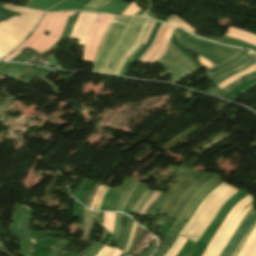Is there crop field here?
<instances>
[{
    "instance_id": "crop-field-1",
    "label": "crop field",
    "mask_w": 256,
    "mask_h": 256,
    "mask_svg": "<svg viewBox=\"0 0 256 256\" xmlns=\"http://www.w3.org/2000/svg\"><path fill=\"white\" fill-rule=\"evenodd\" d=\"M9 9L21 15L3 22L1 20L17 13L0 7V59L19 46L44 15L14 6H9Z\"/></svg>"
},
{
    "instance_id": "crop-field-2",
    "label": "crop field",
    "mask_w": 256,
    "mask_h": 256,
    "mask_svg": "<svg viewBox=\"0 0 256 256\" xmlns=\"http://www.w3.org/2000/svg\"><path fill=\"white\" fill-rule=\"evenodd\" d=\"M239 189L226 186L215 194L206 204L202 213L197 217L190 230L187 232L185 237L197 241L202 233L206 230L209 224L212 222L215 214L219 208ZM196 243V242H195Z\"/></svg>"
},
{
    "instance_id": "crop-field-3",
    "label": "crop field",
    "mask_w": 256,
    "mask_h": 256,
    "mask_svg": "<svg viewBox=\"0 0 256 256\" xmlns=\"http://www.w3.org/2000/svg\"><path fill=\"white\" fill-rule=\"evenodd\" d=\"M177 37L183 42L185 46L189 49L195 51L200 54L204 58L208 59L212 63L218 65L230 57H232L235 53H237L240 49L232 48L227 46L218 45L213 42H209L206 40L195 38L194 36H190L189 38H185L183 35L174 32Z\"/></svg>"
},
{
    "instance_id": "crop-field-4",
    "label": "crop field",
    "mask_w": 256,
    "mask_h": 256,
    "mask_svg": "<svg viewBox=\"0 0 256 256\" xmlns=\"http://www.w3.org/2000/svg\"><path fill=\"white\" fill-rule=\"evenodd\" d=\"M145 21V18H132L128 26L125 28L123 31L122 35L120 36L116 46L106 59L105 63L103 66L100 67L98 72L101 73H107L111 74L113 73V70L121 58V56L127 52L132 45L134 44L141 27ZM111 62L112 68L107 69L109 63Z\"/></svg>"
},
{
    "instance_id": "crop-field-5",
    "label": "crop field",
    "mask_w": 256,
    "mask_h": 256,
    "mask_svg": "<svg viewBox=\"0 0 256 256\" xmlns=\"http://www.w3.org/2000/svg\"><path fill=\"white\" fill-rule=\"evenodd\" d=\"M157 62L172 72L174 84L199 69L188 56L171 42L169 43L166 54Z\"/></svg>"
},
{
    "instance_id": "crop-field-6",
    "label": "crop field",
    "mask_w": 256,
    "mask_h": 256,
    "mask_svg": "<svg viewBox=\"0 0 256 256\" xmlns=\"http://www.w3.org/2000/svg\"><path fill=\"white\" fill-rule=\"evenodd\" d=\"M234 57V56H233ZM256 63V55L253 52H246L241 50L234 58L218 65L217 67L207 71L211 74L214 72L222 70L214 73L213 75L209 76L214 83L217 85L224 79L250 67L251 65Z\"/></svg>"
},
{
    "instance_id": "crop-field-7",
    "label": "crop field",
    "mask_w": 256,
    "mask_h": 256,
    "mask_svg": "<svg viewBox=\"0 0 256 256\" xmlns=\"http://www.w3.org/2000/svg\"><path fill=\"white\" fill-rule=\"evenodd\" d=\"M131 17H118L112 20L111 24L109 25L102 42L100 44L99 50L93 60L94 63L92 72H97L100 65H103L105 59L113 49L117 39L121 35L122 31L128 24Z\"/></svg>"
},
{
    "instance_id": "crop-field-8",
    "label": "crop field",
    "mask_w": 256,
    "mask_h": 256,
    "mask_svg": "<svg viewBox=\"0 0 256 256\" xmlns=\"http://www.w3.org/2000/svg\"><path fill=\"white\" fill-rule=\"evenodd\" d=\"M61 13L54 14V16L49 21L46 29L38 37V39L32 43L29 47L38 51V54L44 53L51 46H53L58 40L68 16L60 15ZM45 31L51 32L48 36L44 34Z\"/></svg>"
},
{
    "instance_id": "crop-field-9",
    "label": "crop field",
    "mask_w": 256,
    "mask_h": 256,
    "mask_svg": "<svg viewBox=\"0 0 256 256\" xmlns=\"http://www.w3.org/2000/svg\"><path fill=\"white\" fill-rule=\"evenodd\" d=\"M113 17L114 16L101 14L96 18L94 25L87 36L82 60L92 62L101 39Z\"/></svg>"
},
{
    "instance_id": "crop-field-10",
    "label": "crop field",
    "mask_w": 256,
    "mask_h": 256,
    "mask_svg": "<svg viewBox=\"0 0 256 256\" xmlns=\"http://www.w3.org/2000/svg\"><path fill=\"white\" fill-rule=\"evenodd\" d=\"M177 178L179 181L169 192L172 195L162 207L160 214H169V212L172 210V208L175 206V204L178 202L184 192L196 182L194 178H192L185 172Z\"/></svg>"
},
{
    "instance_id": "crop-field-11",
    "label": "crop field",
    "mask_w": 256,
    "mask_h": 256,
    "mask_svg": "<svg viewBox=\"0 0 256 256\" xmlns=\"http://www.w3.org/2000/svg\"><path fill=\"white\" fill-rule=\"evenodd\" d=\"M99 14L81 12L72 30L70 38L79 39L78 44L84 45L86 36ZM96 20V19H95Z\"/></svg>"
},
{
    "instance_id": "crop-field-12",
    "label": "crop field",
    "mask_w": 256,
    "mask_h": 256,
    "mask_svg": "<svg viewBox=\"0 0 256 256\" xmlns=\"http://www.w3.org/2000/svg\"><path fill=\"white\" fill-rule=\"evenodd\" d=\"M132 180L125 179L120 187H116L115 189H110L106 194L103 204L100 208L101 211H115L117 204L124 194L125 190L129 186Z\"/></svg>"
},
{
    "instance_id": "crop-field-13",
    "label": "crop field",
    "mask_w": 256,
    "mask_h": 256,
    "mask_svg": "<svg viewBox=\"0 0 256 256\" xmlns=\"http://www.w3.org/2000/svg\"><path fill=\"white\" fill-rule=\"evenodd\" d=\"M213 175L206 174L200 181H198L195 185H193L183 196L177 207L173 210L170 217L177 219L179 215L183 212L187 204L190 202L194 194L201 189L211 178Z\"/></svg>"
},
{
    "instance_id": "crop-field-14",
    "label": "crop field",
    "mask_w": 256,
    "mask_h": 256,
    "mask_svg": "<svg viewBox=\"0 0 256 256\" xmlns=\"http://www.w3.org/2000/svg\"><path fill=\"white\" fill-rule=\"evenodd\" d=\"M161 23L156 22L153 31L151 33V35L149 36L147 42L145 45H142L137 52H135L133 54V56L129 59V61L126 63V65L124 66L122 72L120 73V75L125 76L128 71L133 67V65L136 63V61L141 57V55L147 50V48L151 45V43L154 40V37L156 35V32L158 30V28L160 27Z\"/></svg>"
},
{
    "instance_id": "crop-field-15",
    "label": "crop field",
    "mask_w": 256,
    "mask_h": 256,
    "mask_svg": "<svg viewBox=\"0 0 256 256\" xmlns=\"http://www.w3.org/2000/svg\"><path fill=\"white\" fill-rule=\"evenodd\" d=\"M151 21L152 20H150V19L146 20V22H145V24H144V26H143V28H142L138 38H137L135 44L133 45V47L126 54H124L122 56V58L120 59V61H119L118 65H117L113 75H118L119 74L121 68L123 67V65L125 64L127 59L130 57V55L132 53H134L135 50L141 45V43L143 41V38H144V36H145L149 26H150Z\"/></svg>"
},
{
    "instance_id": "crop-field-16",
    "label": "crop field",
    "mask_w": 256,
    "mask_h": 256,
    "mask_svg": "<svg viewBox=\"0 0 256 256\" xmlns=\"http://www.w3.org/2000/svg\"><path fill=\"white\" fill-rule=\"evenodd\" d=\"M250 197V195L246 196L245 198H243L241 201H239L232 209V211L228 214V216L225 218V220L223 221L222 225L220 226V228L218 229L217 233L215 234V236L213 237V239L211 240V242L209 243L205 253L203 256H206L208 254V252L210 251L211 247L213 246V244L215 243V241L217 240V238L219 237V235L221 234V232L223 231V229L226 227V225L229 223V221L231 220L232 216L234 215V213L248 200V198Z\"/></svg>"
},
{
    "instance_id": "crop-field-17",
    "label": "crop field",
    "mask_w": 256,
    "mask_h": 256,
    "mask_svg": "<svg viewBox=\"0 0 256 256\" xmlns=\"http://www.w3.org/2000/svg\"><path fill=\"white\" fill-rule=\"evenodd\" d=\"M53 16V14H48L43 21L42 25L32 34V36L15 52H13L11 55H9L7 58H5L3 61H10L15 56H17L19 53H21L28 45H30L32 42L36 40V38L41 34V32L45 29L48 21Z\"/></svg>"
},
{
    "instance_id": "crop-field-18",
    "label": "crop field",
    "mask_w": 256,
    "mask_h": 256,
    "mask_svg": "<svg viewBox=\"0 0 256 256\" xmlns=\"http://www.w3.org/2000/svg\"><path fill=\"white\" fill-rule=\"evenodd\" d=\"M145 185L142 184H138L132 194L130 195V197L128 198L126 204L123 207V212L126 214H130L135 206V204L137 203V201L139 200V198L141 197V195L143 194V192L145 191L146 187H144Z\"/></svg>"
},
{
    "instance_id": "crop-field-19",
    "label": "crop field",
    "mask_w": 256,
    "mask_h": 256,
    "mask_svg": "<svg viewBox=\"0 0 256 256\" xmlns=\"http://www.w3.org/2000/svg\"><path fill=\"white\" fill-rule=\"evenodd\" d=\"M219 179V177L215 176L212 180H210L201 190H199L195 196L193 197V199L191 200V202L188 204V206L186 207V209L184 210V212L182 213V215L180 216L179 220L177 221V223L171 228V232H173L178 225L182 222V220L184 219V217L187 215V213L190 211V209L193 207V205L195 204L197 198L203 194V192L209 188L214 182H216Z\"/></svg>"
},
{
    "instance_id": "crop-field-20",
    "label": "crop field",
    "mask_w": 256,
    "mask_h": 256,
    "mask_svg": "<svg viewBox=\"0 0 256 256\" xmlns=\"http://www.w3.org/2000/svg\"><path fill=\"white\" fill-rule=\"evenodd\" d=\"M253 200L252 197L249 198V200L236 212V214L233 216L232 220L230 221V223L227 225V227L224 229V231L222 232V234L220 235V237L218 238V240L216 241L215 245L213 246V248L211 249V251L209 252V254L207 256H212L214 254V252L216 251V249L218 248L220 242L222 241V239L224 238V236L226 235V233L228 232V230L231 228V226L233 225V223L236 221V219L239 217V215L241 214L242 210L249 204V202Z\"/></svg>"
},
{
    "instance_id": "crop-field-21",
    "label": "crop field",
    "mask_w": 256,
    "mask_h": 256,
    "mask_svg": "<svg viewBox=\"0 0 256 256\" xmlns=\"http://www.w3.org/2000/svg\"><path fill=\"white\" fill-rule=\"evenodd\" d=\"M31 212H32V210L25 207L22 222H21V226H20V230H19V237L20 238L29 239L28 232H29V227H30Z\"/></svg>"
},
{
    "instance_id": "crop-field-22",
    "label": "crop field",
    "mask_w": 256,
    "mask_h": 256,
    "mask_svg": "<svg viewBox=\"0 0 256 256\" xmlns=\"http://www.w3.org/2000/svg\"><path fill=\"white\" fill-rule=\"evenodd\" d=\"M254 205V203L252 202L251 205L244 209L242 214L240 215V217L238 218V220L235 222V224L232 226V228L229 230V232L227 233V235L225 236L224 240L222 241V243L220 244L219 248L217 249L216 253L214 256H219L220 252L222 251V249L224 248V246L226 245V243L228 242L229 238L231 237L232 233L234 232V230L236 229V227L238 226V224L240 223V221L243 219V217L246 215V213L250 210V208Z\"/></svg>"
},
{
    "instance_id": "crop-field-23",
    "label": "crop field",
    "mask_w": 256,
    "mask_h": 256,
    "mask_svg": "<svg viewBox=\"0 0 256 256\" xmlns=\"http://www.w3.org/2000/svg\"><path fill=\"white\" fill-rule=\"evenodd\" d=\"M225 185L224 182L218 187L216 188L212 193H210L208 196L205 197V199L203 200V202L200 204V206L198 207L197 211L195 212V214L192 216V218L189 220V222L187 223V225L185 226V228L180 232V235L184 236V234L186 233V231L189 229V227L191 226V224L193 223V221L195 220L196 216L199 214L200 210L204 207L206 201L211 198L215 193H217L220 189H222Z\"/></svg>"
},
{
    "instance_id": "crop-field-24",
    "label": "crop field",
    "mask_w": 256,
    "mask_h": 256,
    "mask_svg": "<svg viewBox=\"0 0 256 256\" xmlns=\"http://www.w3.org/2000/svg\"><path fill=\"white\" fill-rule=\"evenodd\" d=\"M175 30V27H172L170 26L166 36H165V39L163 41V44L161 46V48L157 51V53L149 60L148 63L150 64H153L155 63L165 52L167 46H168V43H169V40L171 38V34L172 32Z\"/></svg>"
},
{
    "instance_id": "crop-field-25",
    "label": "crop field",
    "mask_w": 256,
    "mask_h": 256,
    "mask_svg": "<svg viewBox=\"0 0 256 256\" xmlns=\"http://www.w3.org/2000/svg\"><path fill=\"white\" fill-rule=\"evenodd\" d=\"M91 223H92L91 211L85 208L84 209V232H83L84 241H88L90 238Z\"/></svg>"
},
{
    "instance_id": "crop-field-26",
    "label": "crop field",
    "mask_w": 256,
    "mask_h": 256,
    "mask_svg": "<svg viewBox=\"0 0 256 256\" xmlns=\"http://www.w3.org/2000/svg\"><path fill=\"white\" fill-rule=\"evenodd\" d=\"M255 211L254 207L251 210V212L248 214V216L239 224V226L237 227V229L235 230V232L233 233L232 237L230 238L229 242L227 243V245L225 246V248L223 249V251L221 252L220 256H224L225 253L227 252V250L229 249L230 245L232 244V242L234 241V239L236 238V236L238 235V233L240 232V230L242 229V227L244 226V224L246 223V221L249 219V217L252 215V213Z\"/></svg>"
},
{
    "instance_id": "crop-field-27",
    "label": "crop field",
    "mask_w": 256,
    "mask_h": 256,
    "mask_svg": "<svg viewBox=\"0 0 256 256\" xmlns=\"http://www.w3.org/2000/svg\"><path fill=\"white\" fill-rule=\"evenodd\" d=\"M256 216V211L253 215V217L250 219V221L246 224V226L242 229V231L239 233V235L237 236V238L235 239V241L233 242V244L231 245L230 249L228 250V252L226 253L225 256H231V254L233 253L234 249L236 248V246L238 245L239 241L241 240V238L243 237V235L245 234V232L247 231V229L249 228L250 224L252 223V221L254 220Z\"/></svg>"
},
{
    "instance_id": "crop-field-28",
    "label": "crop field",
    "mask_w": 256,
    "mask_h": 256,
    "mask_svg": "<svg viewBox=\"0 0 256 256\" xmlns=\"http://www.w3.org/2000/svg\"><path fill=\"white\" fill-rule=\"evenodd\" d=\"M224 180L223 179H219L212 187H210L208 190H206L204 192V194L199 197L197 203L194 205V207L192 208V210L190 211V213L187 215V217L183 220V221H187L190 219V217L193 215V213L196 211L197 207L199 206V204L201 203V201L204 199V197L206 195H208L214 188H216L220 183H222Z\"/></svg>"
},
{
    "instance_id": "crop-field-29",
    "label": "crop field",
    "mask_w": 256,
    "mask_h": 256,
    "mask_svg": "<svg viewBox=\"0 0 256 256\" xmlns=\"http://www.w3.org/2000/svg\"><path fill=\"white\" fill-rule=\"evenodd\" d=\"M168 28H169V25L165 24L164 28H163V30H162L159 38H158L157 44L150 50V52L147 54V56L144 58V60L142 62L147 63L148 60L152 57V55L157 51V49L159 48V46H160Z\"/></svg>"
},
{
    "instance_id": "crop-field-30",
    "label": "crop field",
    "mask_w": 256,
    "mask_h": 256,
    "mask_svg": "<svg viewBox=\"0 0 256 256\" xmlns=\"http://www.w3.org/2000/svg\"><path fill=\"white\" fill-rule=\"evenodd\" d=\"M109 2H110V0H92L80 10L96 11Z\"/></svg>"
},
{
    "instance_id": "crop-field-31",
    "label": "crop field",
    "mask_w": 256,
    "mask_h": 256,
    "mask_svg": "<svg viewBox=\"0 0 256 256\" xmlns=\"http://www.w3.org/2000/svg\"><path fill=\"white\" fill-rule=\"evenodd\" d=\"M167 23H171L174 25H178L180 27H182L183 29L191 32L194 34L195 30L193 28H191L189 25H187L185 22H183L182 20H180L177 16H175L174 14L167 20Z\"/></svg>"
},
{
    "instance_id": "crop-field-32",
    "label": "crop field",
    "mask_w": 256,
    "mask_h": 256,
    "mask_svg": "<svg viewBox=\"0 0 256 256\" xmlns=\"http://www.w3.org/2000/svg\"><path fill=\"white\" fill-rule=\"evenodd\" d=\"M153 193V191H150V190H146L144 192V194L142 195V197L140 198V200L138 201L135 209H134V212L138 213L139 209L141 208V206L145 203V201L150 197V195Z\"/></svg>"
},
{
    "instance_id": "crop-field-33",
    "label": "crop field",
    "mask_w": 256,
    "mask_h": 256,
    "mask_svg": "<svg viewBox=\"0 0 256 256\" xmlns=\"http://www.w3.org/2000/svg\"><path fill=\"white\" fill-rule=\"evenodd\" d=\"M255 234H256V225H255L254 229L252 230L250 236L248 237L247 241L245 242V244L243 245V247L239 251L237 256H242L245 253L248 245L250 244V242H251V240H252V238L254 237Z\"/></svg>"
},
{
    "instance_id": "crop-field-34",
    "label": "crop field",
    "mask_w": 256,
    "mask_h": 256,
    "mask_svg": "<svg viewBox=\"0 0 256 256\" xmlns=\"http://www.w3.org/2000/svg\"><path fill=\"white\" fill-rule=\"evenodd\" d=\"M136 182L132 181L131 185L129 186V188L127 189V191L125 192L124 196L122 197V199L120 200L119 204H118V207H117V210L118 212H120L121 210V207L127 197V195L129 194V192L132 190V188L135 186Z\"/></svg>"
},
{
    "instance_id": "crop-field-35",
    "label": "crop field",
    "mask_w": 256,
    "mask_h": 256,
    "mask_svg": "<svg viewBox=\"0 0 256 256\" xmlns=\"http://www.w3.org/2000/svg\"><path fill=\"white\" fill-rule=\"evenodd\" d=\"M140 9L132 2L129 7L122 13L127 15H134L136 14Z\"/></svg>"
},
{
    "instance_id": "crop-field-36",
    "label": "crop field",
    "mask_w": 256,
    "mask_h": 256,
    "mask_svg": "<svg viewBox=\"0 0 256 256\" xmlns=\"http://www.w3.org/2000/svg\"><path fill=\"white\" fill-rule=\"evenodd\" d=\"M137 226H138V224L136 222H134L133 226H132L131 233H130L129 241H128V243H127V245L125 247V250H124L126 252H127V250L129 249V247H130V245L132 243V239H133V236H134V234L136 232Z\"/></svg>"
},
{
    "instance_id": "crop-field-37",
    "label": "crop field",
    "mask_w": 256,
    "mask_h": 256,
    "mask_svg": "<svg viewBox=\"0 0 256 256\" xmlns=\"http://www.w3.org/2000/svg\"><path fill=\"white\" fill-rule=\"evenodd\" d=\"M127 216L123 215L122 214V218H121V224H120V229H119V233H118V241H119V244L121 242V239H122V235H123V230H124V224H125V220H126ZM119 246V245H118Z\"/></svg>"
},
{
    "instance_id": "crop-field-38",
    "label": "crop field",
    "mask_w": 256,
    "mask_h": 256,
    "mask_svg": "<svg viewBox=\"0 0 256 256\" xmlns=\"http://www.w3.org/2000/svg\"><path fill=\"white\" fill-rule=\"evenodd\" d=\"M160 193L155 192L152 197L149 199V201L146 203V205L143 207V209L140 211L139 214L144 215L145 211L147 210L148 206L154 201V199L159 195Z\"/></svg>"
},
{
    "instance_id": "crop-field-39",
    "label": "crop field",
    "mask_w": 256,
    "mask_h": 256,
    "mask_svg": "<svg viewBox=\"0 0 256 256\" xmlns=\"http://www.w3.org/2000/svg\"><path fill=\"white\" fill-rule=\"evenodd\" d=\"M120 213H116V218H115V226H114V232L113 235L117 237L118 229H119V223H120Z\"/></svg>"
},
{
    "instance_id": "crop-field-40",
    "label": "crop field",
    "mask_w": 256,
    "mask_h": 256,
    "mask_svg": "<svg viewBox=\"0 0 256 256\" xmlns=\"http://www.w3.org/2000/svg\"><path fill=\"white\" fill-rule=\"evenodd\" d=\"M107 190H108L107 187H104V189L102 190V192H101V194H100V196H99V199H98V201H97V203H96L95 210H98V209H99V207H100V205H101V202H102V200H103V198H104V196H105Z\"/></svg>"
},
{
    "instance_id": "crop-field-41",
    "label": "crop field",
    "mask_w": 256,
    "mask_h": 256,
    "mask_svg": "<svg viewBox=\"0 0 256 256\" xmlns=\"http://www.w3.org/2000/svg\"><path fill=\"white\" fill-rule=\"evenodd\" d=\"M182 236H178V238L176 239V241L174 242V244L172 245V247L169 249V251L165 254V256H170L174 249L176 248V246L179 244V242L181 241Z\"/></svg>"
},
{
    "instance_id": "crop-field-42",
    "label": "crop field",
    "mask_w": 256,
    "mask_h": 256,
    "mask_svg": "<svg viewBox=\"0 0 256 256\" xmlns=\"http://www.w3.org/2000/svg\"><path fill=\"white\" fill-rule=\"evenodd\" d=\"M171 236H172V234L169 233L168 236H167V238H166V240H165V242H164L163 245L161 246V248L159 247L160 249H159L153 256H158V255H159V253L162 251V249L166 246V244H167L168 241L170 240Z\"/></svg>"
},
{
    "instance_id": "crop-field-43",
    "label": "crop field",
    "mask_w": 256,
    "mask_h": 256,
    "mask_svg": "<svg viewBox=\"0 0 256 256\" xmlns=\"http://www.w3.org/2000/svg\"><path fill=\"white\" fill-rule=\"evenodd\" d=\"M256 244V235L255 237L253 238L249 248L247 249L246 253L244 254V256H248L250 254V252L252 251L253 247L255 246Z\"/></svg>"
},
{
    "instance_id": "crop-field-44",
    "label": "crop field",
    "mask_w": 256,
    "mask_h": 256,
    "mask_svg": "<svg viewBox=\"0 0 256 256\" xmlns=\"http://www.w3.org/2000/svg\"><path fill=\"white\" fill-rule=\"evenodd\" d=\"M255 70H256V68H254V69H252V70H249V71H247V72H245V73H243V74L237 76L236 78L232 79L231 81H229L228 83H226L225 85H223V86L220 87V88L222 89V88L226 87L227 85H229L230 83H232L233 81H235L236 79H238L239 77H241V76H243V75H245V74H248V73H250V72H253V71H255Z\"/></svg>"
},
{
    "instance_id": "crop-field-45",
    "label": "crop field",
    "mask_w": 256,
    "mask_h": 256,
    "mask_svg": "<svg viewBox=\"0 0 256 256\" xmlns=\"http://www.w3.org/2000/svg\"><path fill=\"white\" fill-rule=\"evenodd\" d=\"M176 237H177V235L176 234H174L173 235V237H172V239H171V241L169 242V244L167 245V247L165 248V250L162 252V254L160 255V256H163L165 253H166V251L170 248V246L173 244V242L175 241V239H176Z\"/></svg>"
},
{
    "instance_id": "crop-field-46",
    "label": "crop field",
    "mask_w": 256,
    "mask_h": 256,
    "mask_svg": "<svg viewBox=\"0 0 256 256\" xmlns=\"http://www.w3.org/2000/svg\"><path fill=\"white\" fill-rule=\"evenodd\" d=\"M254 67H256V64L253 65V66H251L250 68L246 69L245 71H247V70H249V69H252V68H254ZM245 71H243V72H245ZM243 72H241V73H243ZM241 73H239V74H241ZM239 74H237V75H239ZM237 75H234V76L228 78L226 81H224L223 83H221V84L218 85V86H219V87L222 86L223 84H225L226 82H228L229 80H231L232 78H234V77L237 76Z\"/></svg>"
},
{
    "instance_id": "crop-field-47",
    "label": "crop field",
    "mask_w": 256,
    "mask_h": 256,
    "mask_svg": "<svg viewBox=\"0 0 256 256\" xmlns=\"http://www.w3.org/2000/svg\"><path fill=\"white\" fill-rule=\"evenodd\" d=\"M74 23H75V21H71L70 26H69V29H68V31H67L65 37H64L65 40L68 39V37H69V35H70L71 29H72Z\"/></svg>"
},
{
    "instance_id": "crop-field-48",
    "label": "crop field",
    "mask_w": 256,
    "mask_h": 256,
    "mask_svg": "<svg viewBox=\"0 0 256 256\" xmlns=\"http://www.w3.org/2000/svg\"><path fill=\"white\" fill-rule=\"evenodd\" d=\"M163 25H164V24H162V26L160 27V29H159V31H158V34H159L160 30L162 29ZM158 34H157V36H158ZM157 36H156V38H157ZM156 38H155L153 44H152V45L149 47V49L146 51V53L138 60L139 62H140V61L143 59V57L148 53V51L153 47V45H154V43H155V41H156Z\"/></svg>"
},
{
    "instance_id": "crop-field-49",
    "label": "crop field",
    "mask_w": 256,
    "mask_h": 256,
    "mask_svg": "<svg viewBox=\"0 0 256 256\" xmlns=\"http://www.w3.org/2000/svg\"><path fill=\"white\" fill-rule=\"evenodd\" d=\"M185 241H186V238H183L180 245L175 249L174 253L171 256L176 255V253L180 250V248L182 247V245L184 244Z\"/></svg>"
},
{
    "instance_id": "crop-field-50",
    "label": "crop field",
    "mask_w": 256,
    "mask_h": 256,
    "mask_svg": "<svg viewBox=\"0 0 256 256\" xmlns=\"http://www.w3.org/2000/svg\"><path fill=\"white\" fill-rule=\"evenodd\" d=\"M255 87H256V83H254V84H252V85H250V86H248V87L242 89L240 92H242V93L244 94V93H246L247 91H249V90H251V89H253V88H255Z\"/></svg>"
},
{
    "instance_id": "crop-field-51",
    "label": "crop field",
    "mask_w": 256,
    "mask_h": 256,
    "mask_svg": "<svg viewBox=\"0 0 256 256\" xmlns=\"http://www.w3.org/2000/svg\"><path fill=\"white\" fill-rule=\"evenodd\" d=\"M129 220H130V218L127 219L125 233H124L123 240H122V242H121V244H120V247H119L120 249L122 248L124 239H125V237H126V230H127L128 224H129Z\"/></svg>"
},
{
    "instance_id": "crop-field-52",
    "label": "crop field",
    "mask_w": 256,
    "mask_h": 256,
    "mask_svg": "<svg viewBox=\"0 0 256 256\" xmlns=\"http://www.w3.org/2000/svg\"><path fill=\"white\" fill-rule=\"evenodd\" d=\"M97 187H98V185H95V187L93 188V190H92V192H91V194H90V196H89V199H88V202H87L86 207H89V204H90V201H91V198H92L93 192H94V190H95Z\"/></svg>"
},
{
    "instance_id": "crop-field-53",
    "label": "crop field",
    "mask_w": 256,
    "mask_h": 256,
    "mask_svg": "<svg viewBox=\"0 0 256 256\" xmlns=\"http://www.w3.org/2000/svg\"><path fill=\"white\" fill-rule=\"evenodd\" d=\"M228 31L235 32V33H237V34H239V35H242V36H245V37H248V38H251V39L256 40V38H253V37L248 36V35H246V34H244V33H241V32H237V31H233V30H229V29H228Z\"/></svg>"
},
{
    "instance_id": "crop-field-54",
    "label": "crop field",
    "mask_w": 256,
    "mask_h": 256,
    "mask_svg": "<svg viewBox=\"0 0 256 256\" xmlns=\"http://www.w3.org/2000/svg\"><path fill=\"white\" fill-rule=\"evenodd\" d=\"M154 24H155V22L153 21V22H152V24H151V26H150V29H149V31H148V33H147V35H146V37H145V39H144V41H143V43H142V44H144V43H145V41H146V39L148 38V36H149V34H150V32H151V30H152V28H153Z\"/></svg>"
},
{
    "instance_id": "crop-field-55",
    "label": "crop field",
    "mask_w": 256,
    "mask_h": 256,
    "mask_svg": "<svg viewBox=\"0 0 256 256\" xmlns=\"http://www.w3.org/2000/svg\"><path fill=\"white\" fill-rule=\"evenodd\" d=\"M249 256H256V246L254 247L253 251L251 252V254Z\"/></svg>"
},
{
    "instance_id": "crop-field-56",
    "label": "crop field",
    "mask_w": 256,
    "mask_h": 256,
    "mask_svg": "<svg viewBox=\"0 0 256 256\" xmlns=\"http://www.w3.org/2000/svg\"><path fill=\"white\" fill-rule=\"evenodd\" d=\"M184 226H185V224H182V225L177 229L176 233L179 234V232L181 231V229H182Z\"/></svg>"
},
{
    "instance_id": "crop-field-57",
    "label": "crop field",
    "mask_w": 256,
    "mask_h": 256,
    "mask_svg": "<svg viewBox=\"0 0 256 256\" xmlns=\"http://www.w3.org/2000/svg\"><path fill=\"white\" fill-rule=\"evenodd\" d=\"M75 12H63L62 14H64V15H73Z\"/></svg>"
},
{
    "instance_id": "crop-field-58",
    "label": "crop field",
    "mask_w": 256,
    "mask_h": 256,
    "mask_svg": "<svg viewBox=\"0 0 256 256\" xmlns=\"http://www.w3.org/2000/svg\"><path fill=\"white\" fill-rule=\"evenodd\" d=\"M229 28H230V27H229ZM230 29H234V28H230ZM234 30H237V29H234ZM237 31H241V30H237ZM241 32H244V33L249 34V35H251V36H253V37H256L255 35L250 34V33H247V32H245V31H241Z\"/></svg>"
}]
</instances>
